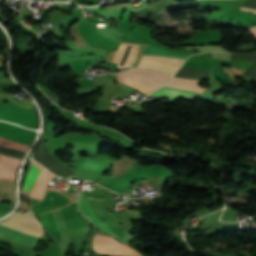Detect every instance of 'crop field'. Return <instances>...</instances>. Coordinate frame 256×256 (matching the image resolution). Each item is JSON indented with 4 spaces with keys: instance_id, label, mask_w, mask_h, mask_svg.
Wrapping results in <instances>:
<instances>
[{
    "instance_id": "crop-field-13",
    "label": "crop field",
    "mask_w": 256,
    "mask_h": 256,
    "mask_svg": "<svg viewBox=\"0 0 256 256\" xmlns=\"http://www.w3.org/2000/svg\"><path fill=\"white\" fill-rule=\"evenodd\" d=\"M240 9H241V10H247V11L256 13V10H253V9L243 8V7H241Z\"/></svg>"
},
{
    "instance_id": "crop-field-4",
    "label": "crop field",
    "mask_w": 256,
    "mask_h": 256,
    "mask_svg": "<svg viewBox=\"0 0 256 256\" xmlns=\"http://www.w3.org/2000/svg\"><path fill=\"white\" fill-rule=\"evenodd\" d=\"M0 144L24 153L28 148L27 145L11 142L2 138H0ZM20 164L21 161L0 154V179L15 180L16 170Z\"/></svg>"
},
{
    "instance_id": "crop-field-8",
    "label": "crop field",
    "mask_w": 256,
    "mask_h": 256,
    "mask_svg": "<svg viewBox=\"0 0 256 256\" xmlns=\"http://www.w3.org/2000/svg\"><path fill=\"white\" fill-rule=\"evenodd\" d=\"M32 163H34L35 165L43 168L42 166H40L39 164H37L36 162H34L33 160L31 161ZM33 164H30V168H29V172L26 176L25 182H24V186H23V190L22 191H26V192H30L41 172V168L35 166Z\"/></svg>"
},
{
    "instance_id": "crop-field-5",
    "label": "crop field",
    "mask_w": 256,
    "mask_h": 256,
    "mask_svg": "<svg viewBox=\"0 0 256 256\" xmlns=\"http://www.w3.org/2000/svg\"><path fill=\"white\" fill-rule=\"evenodd\" d=\"M131 72L137 73L139 75H142L146 78H149L161 85H163L166 81L169 80V78L171 77V75L168 74H162V73H157V72H151L148 70H139V69H133V70H129ZM131 72H124V73H120V75L129 77L131 79L137 80L139 82H142L144 84H146L147 86L151 87L152 89L156 90L158 87H160L161 85L146 79L142 76H139L137 74L131 73Z\"/></svg>"
},
{
    "instance_id": "crop-field-9",
    "label": "crop field",
    "mask_w": 256,
    "mask_h": 256,
    "mask_svg": "<svg viewBox=\"0 0 256 256\" xmlns=\"http://www.w3.org/2000/svg\"><path fill=\"white\" fill-rule=\"evenodd\" d=\"M144 55L168 56V57H176V58H182V59H185L188 56L186 54L169 52L164 49L157 48V47L150 46V45H148Z\"/></svg>"
},
{
    "instance_id": "crop-field-6",
    "label": "crop field",
    "mask_w": 256,
    "mask_h": 256,
    "mask_svg": "<svg viewBox=\"0 0 256 256\" xmlns=\"http://www.w3.org/2000/svg\"><path fill=\"white\" fill-rule=\"evenodd\" d=\"M151 95H155L158 97H162V98H166L174 101H176L177 98L194 101L195 93L174 89V88L162 87L157 91L153 92Z\"/></svg>"
},
{
    "instance_id": "crop-field-10",
    "label": "crop field",
    "mask_w": 256,
    "mask_h": 256,
    "mask_svg": "<svg viewBox=\"0 0 256 256\" xmlns=\"http://www.w3.org/2000/svg\"><path fill=\"white\" fill-rule=\"evenodd\" d=\"M52 245H50V247H49L47 253L45 254V256H61L59 254L58 250Z\"/></svg>"
},
{
    "instance_id": "crop-field-7",
    "label": "crop field",
    "mask_w": 256,
    "mask_h": 256,
    "mask_svg": "<svg viewBox=\"0 0 256 256\" xmlns=\"http://www.w3.org/2000/svg\"><path fill=\"white\" fill-rule=\"evenodd\" d=\"M199 82L200 80H191V79L172 77L171 80L166 85L202 93L204 88L199 87L198 85Z\"/></svg>"
},
{
    "instance_id": "crop-field-12",
    "label": "crop field",
    "mask_w": 256,
    "mask_h": 256,
    "mask_svg": "<svg viewBox=\"0 0 256 256\" xmlns=\"http://www.w3.org/2000/svg\"><path fill=\"white\" fill-rule=\"evenodd\" d=\"M252 35L253 37L256 39V27H253L251 29L248 30Z\"/></svg>"
},
{
    "instance_id": "crop-field-14",
    "label": "crop field",
    "mask_w": 256,
    "mask_h": 256,
    "mask_svg": "<svg viewBox=\"0 0 256 256\" xmlns=\"http://www.w3.org/2000/svg\"><path fill=\"white\" fill-rule=\"evenodd\" d=\"M0 64H1V61H0Z\"/></svg>"
},
{
    "instance_id": "crop-field-2",
    "label": "crop field",
    "mask_w": 256,
    "mask_h": 256,
    "mask_svg": "<svg viewBox=\"0 0 256 256\" xmlns=\"http://www.w3.org/2000/svg\"><path fill=\"white\" fill-rule=\"evenodd\" d=\"M77 191V190H76ZM89 203L98 216V218L113 232L123 237L127 232L122 226H120L115 220L111 218L109 215L105 200L104 199H94L89 197ZM88 203V196L77 191V208L78 211L84 215L95 227H97L100 231L113 235L118 240L121 238L115 233H113L109 228H107L94 214L91 210Z\"/></svg>"
},
{
    "instance_id": "crop-field-1",
    "label": "crop field",
    "mask_w": 256,
    "mask_h": 256,
    "mask_svg": "<svg viewBox=\"0 0 256 256\" xmlns=\"http://www.w3.org/2000/svg\"><path fill=\"white\" fill-rule=\"evenodd\" d=\"M6 226L21 230L23 232L41 236L43 233L42 227L37 219L32 215L31 212L25 214L14 211L11 217L0 222ZM0 224V236L21 244L36 246L39 237H35L21 231L6 227Z\"/></svg>"
},
{
    "instance_id": "crop-field-11",
    "label": "crop field",
    "mask_w": 256,
    "mask_h": 256,
    "mask_svg": "<svg viewBox=\"0 0 256 256\" xmlns=\"http://www.w3.org/2000/svg\"><path fill=\"white\" fill-rule=\"evenodd\" d=\"M242 6L256 9V0H248Z\"/></svg>"
},
{
    "instance_id": "crop-field-3",
    "label": "crop field",
    "mask_w": 256,
    "mask_h": 256,
    "mask_svg": "<svg viewBox=\"0 0 256 256\" xmlns=\"http://www.w3.org/2000/svg\"><path fill=\"white\" fill-rule=\"evenodd\" d=\"M93 249L96 252L122 256H141L132 248L117 242L111 237L96 232L93 240Z\"/></svg>"
}]
</instances>
